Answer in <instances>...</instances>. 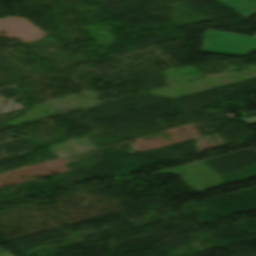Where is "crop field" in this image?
I'll return each instance as SVG.
<instances>
[{
  "label": "crop field",
  "mask_w": 256,
  "mask_h": 256,
  "mask_svg": "<svg viewBox=\"0 0 256 256\" xmlns=\"http://www.w3.org/2000/svg\"><path fill=\"white\" fill-rule=\"evenodd\" d=\"M1 252H5V250H3V249L0 248V253H1Z\"/></svg>",
  "instance_id": "crop-field-5"
},
{
  "label": "crop field",
  "mask_w": 256,
  "mask_h": 256,
  "mask_svg": "<svg viewBox=\"0 0 256 256\" xmlns=\"http://www.w3.org/2000/svg\"><path fill=\"white\" fill-rule=\"evenodd\" d=\"M242 120L245 121L247 124L256 123V117H253V118H245V119H242Z\"/></svg>",
  "instance_id": "crop-field-3"
},
{
  "label": "crop field",
  "mask_w": 256,
  "mask_h": 256,
  "mask_svg": "<svg viewBox=\"0 0 256 256\" xmlns=\"http://www.w3.org/2000/svg\"><path fill=\"white\" fill-rule=\"evenodd\" d=\"M221 2L224 6L235 10L244 18H249L253 16L256 12V1L249 0H217ZM243 6V7H241Z\"/></svg>",
  "instance_id": "crop-field-2"
},
{
  "label": "crop field",
  "mask_w": 256,
  "mask_h": 256,
  "mask_svg": "<svg viewBox=\"0 0 256 256\" xmlns=\"http://www.w3.org/2000/svg\"><path fill=\"white\" fill-rule=\"evenodd\" d=\"M251 50H256V38L254 37L206 30L200 51L247 55Z\"/></svg>",
  "instance_id": "crop-field-1"
},
{
  "label": "crop field",
  "mask_w": 256,
  "mask_h": 256,
  "mask_svg": "<svg viewBox=\"0 0 256 256\" xmlns=\"http://www.w3.org/2000/svg\"><path fill=\"white\" fill-rule=\"evenodd\" d=\"M0 256H13V255H11L10 253L6 252V253L0 254Z\"/></svg>",
  "instance_id": "crop-field-4"
}]
</instances>
